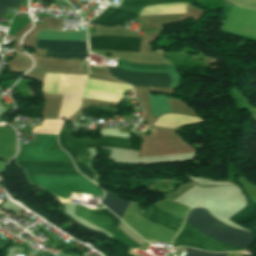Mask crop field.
<instances>
[{
	"instance_id": "obj_7",
	"label": "crop field",
	"mask_w": 256,
	"mask_h": 256,
	"mask_svg": "<svg viewBox=\"0 0 256 256\" xmlns=\"http://www.w3.org/2000/svg\"><path fill=\"white\" fill-rule=\"evenodd\" d=\"M76 214L83 219L99 226L103 230L114 234L116 231L120 220L116 218L110 211L106 208L99 210H89L80 205L76 208Z\"/></svg>"
},
{
	"instance_id": "obj_1",
	"label": "crop field",
	"mask_w": 256,
	"mask_h": 256,
	"mask_svg": "<svg viewBox=\"0 0 256 256\" xmlns=\"http://www.w3.org/2000/svg\"><path fill=\"white\" fill-rule=\"evenodd\" d=\"M145 220L154 225L176 233H178L183 222L182 218L169 215L157 209L153 205L150 206L149 215ZM186 220L195 229L217 241H221L223 243L243 249L253 244L252 233L224 225L221 222L215 220L211 215L207 213L206 210L193 209L188 213ZM186 220L183 228L173 242V247L184 245L209 251L241 250L239 248L225 245L210 239L206 235L196 231L191 225L187 223Z\"/></svg>"
},
{
	"instance_id": "obj_6",
	"label": "crop field",
	"mask_w": 256,
	"mask_h": 256,
	"mask_svg": "<svg viewBox=\"0 0 256 256\" xmlns=\"http://www.w3.org/2000/svg\"><path fill=\"white\" fill-rule=\"evenodd\" d=\"M141 38L119 36L89 37L90 49L139 52Z\"/></svg>"
},
{
	"instance_id": "obj_11",
	"label": "crop field",
	"mask_w": 256,
	"mask_h": 256,
	"mask_svg": "<svg viewBox=\"0 0 256 256\" xmlns=\"http://www.w3.org/2000/svg\"><path fill=\"white\" fill-rule=\"evenodd\" d=\"M22 0H0V16L6 14L8 7L18 9Z\"/></svg>"
},
{
	"instance_id": "obj_9",
	"label": "crop field",
	"mask_w": 256,
	"mask_h": 256,
	"mask_svg": "<svg viewBox=\"0 0 256 256\" xmlns=\"http://www.w3.org/2000/svg\"><path fill=\"white\" fill-rule=\"evenodd\" d=\"M106 207L110 209L115 215L119 218H122L129 202L118 199L113 196L111 193L105 191V197L102 200Z\"/></svg>"
},
{
	"instance_id": "obj_10",
	"label": "crop field",
	"mask_w": 256,
	"mask_h": 256,
	"mask_svg": "<svg viewBox=\"0 0 256 256\" xmlns=\"http://www.w3.org/2000/svg\"><path fill=\"white\" fill-rule=\"evenodd\" d=\"M154 116L163 112H170L166 96H149Z\"/></svg>"
},
{
	"instance_id": "obj_3",
	"label": "crop field",
	"mask_w": 256,
	"mask_h": 256,
	"mask_svg": "<svg viewBox=\"0 0 256 256\" xmlns=\"http://www.w3.org/2000/svg\"><path fill=\"white\" fill-rule=\"evenodd\" d=\"M59 143L63 149L71 153L79 172L92 181L96 174L89 169L90 154L86 148L118 147L130 149L129 139L100 136L99 140H78L71 138V131L64 129L59 134Z\"/></svg>"
},
{
	"instance_id": "obj_8",
	"label": "crop field",
	"mask_w": 256,
	"mask_h": 256,
	"mask_svg": "<svg viewBox=\"0 0 256 256\" xmlns=\"http://www.w3.org/2000/svg\"><path fill=\"white\" fill-rule=\"evenodd\" d=\"M136 14L123 10L108 7L103 11L98 17L90 21L96 25L105 26V27H115L123 23H127L132 19H136Z\"/></svg>"
},
{
	"instance_id": "obj_12",
	"label": "crop field",
	"mask_w": 256,
	"mask_h": 256,
	"mask_svg": "<svg viewBox=\"0 0 256 256\" xmlns=\"http://www.w3.org/2000/svg\"><path fill=\"white\" fill-rule=\"evenodd\" d=\"M221 254L222 253H207L203 251L190 249V251L186 254V256H220Z\"/></svg>"
},
{
	"instance_id": "obj_5",
	"label": "crop field",
	"mask_w": 256,
	"mask_h": 256,
	"mask_svg": "<svg viewBox=\"0 0 256 256\" xmlns=\"http://www.w3.org/2000/svg\"><path fill=\"white\" fill-rule=\"evenodd\" d=\"M64 121L44 120L33 132L56 136ZM27 176L80 175L72 161L17 163Z\"/></svg>"
},
{
	"instance_id": "obj_4",
	"label": "crop field",
	"mask_w": 256,
	"mask_h": 256,
	"mask_svg": "<svg viewBox=\"0 0 256 256\" xmlns=\"http://www.w3.org/2000/svg\"><path fill=\"white\" fill-rule=\"evenodd\" d=\"M38 39L86 40L85 32L41 31ZM37 40L35 47L48 48L47 55L58 58H83L87 41Z\"/></svg>"
},
{
	"instance_id": "obj_2",
	"label": "crop field",
	"mask_w": 256,
	"mask_h": 256,
	"mask_svg": "<svg viewBox=\"0 0 256 256\" xmlns=\"http://www.w3.org/2000/svg\"><path fill=\"white\" fill-rule=\"evenodd\" d=\"M117 67L137 72H159V73H136L116 67H108L113 78L136 86L169 87L177 88L180 84V76L171 65H139L124 60L118 61Z\"/></svg>"
}]
</instances>
